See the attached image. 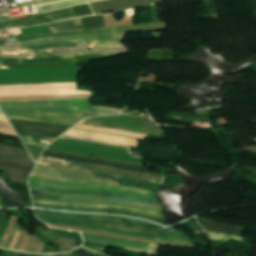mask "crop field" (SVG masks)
Listing matches in <instances>:
<instances>
[{
  "label": "crop field",
  "instance_id": "10",
  "mask_svg": "<svg viewBox=\"0 0 256 256\" xmlns=\"http://www.w3.org/2000/svg\"><path fill=\"white\" fill-rule=\"evenodd\" d=\"M34 204L35 206H39V207L57 208V209L74 210V211L114 212V213H119L124 215L148 218V219H152L160 222L163 218L162 213H158V212H148V211L120 209V208H111V207H97V206H87L86 208H81L79 205H61V204H43V203H34Z\"/></svg>",
  "mask_w": 256,
  "mask_h": 256
},
{
  "label": "crop field",
  "instance_id": "1",
  "mask_svg": "<svg viewBox=\"0 0 256 256\" xmlns=\"http://www.w3.org/2000/svg\"><path fill=\"white\" fill-rule=\"evenodd\" d=\"M35 215L45 222L151 239L193 245L180 231L164 230L162 226L144 221L102 215L46 212L34 210Z\"/></svg>",
  "mask_w": 256,
  "mask_h": 256
},
{
  "label": "crop field",
  "instance_id": "20",
  "mask_svg": "<svg viewBox=\"0 0 256 256\" xmlns=\"http://www.w3.org/2000/svg\"><path fill=\"white\" fill-rule=\"evenodd\" d=\"M0 123H8L4 115H0ZM0 134L17 136L10 124H0Z\"/></svg>",
  "mask_w": 256,
  "mask_h": 256
},
{
  "label": "crop field",
  "instance_id": "23",
  "mask_svg": "<svg viewBox=\"0 0 256 256\" xmlns=\"http://www.w3.org/2000/svg\"><path fill=\"white\" fill-rule=\"evenodd\" d=\"M208 234L210 235L211 239H215V240L226 241L228 237L236 238V239H240V240L243 239V238H240V237H236V236H232V235H228V234H223V233L208 232Z\"/></svg>",
  "mask_w": 256,
  "mask_h": 256
},
{
  "label": "crop field",
  "instance_id": "13",
  "mask_svg": "<svg viewBox=\"0 0 256 256\" xmlns=\"http://www.w3.org/2000/svg\"><path fill=\"white\" fill-rule=\"evenodd\" d=\"M115 30H116V27H111V28H101V29H91V30H81V31L35 35V36L16 37V39L18 41H26V40H32V39H38V38L59 37V36L79 35V34L115 33Z\"/></svg>",
  "mask_w": 256,
  "mask_h": 256
},
{
  "label": "crop field",
  "instance_id": "30",
  "mask_svg": "<svg viewBox=\"0 0 256 256\" xmlns=\"http://www.w3.org/2000/svg\"><path fill=\"white\" fill-rule=\"evenodd\" d=\"M7 212H5V211H0V223H1V221H2V219H3V217H5V216H7Z\"/></svg>",
  "mask_w": 256,
  "mask_h": 256
},
{
  "label": "crop field",
  "instance_id": "24",
  "mask_svg": "<svg viewBox=\"0 0 256 256\" xmlns=\"http://www.w3.org/2000/svg\"><path fill=\"white\" fill-rule=\"evenodd\" d=\"M85 42H94V45L123 46L121 40H117V41L85 40Z\"/></svg>",
  "mask_w": 256,
  "mask_h": 256
},
{
  "label": "crop field",
  "instance_id": "7",
  "mask_svg": "<svg viewBox=\"0 0 256 256\" xmlns=\"http://www.w3.org/2000/svg\"><path fill=\"white\" fill-rule=\"evenodd\" d=\"M39 163L46 166L61 168V169L94 170V171L113 173V174L123 175L127 177L137 178V179L151 181V182L160 183V184H162L163 178H164L161 176H155V175L125 171V170H118V169H112V168H106V167H100V166H94V165H88V164H81V163H75V162H69V161H63V160H57V159H51V158H45V157H42Z\"/></svg>",
  "mask_w": 256,
  "mask_h": 256
},
{
  "label": "crop field",
  "instance_id": "21",
  "mask_svg": "<svg viewBox=\"0 0 256 256\" xmlns=\"http://www.w3.org/2000/svg\"><path fill=\"white\" fill-rule=\"evenodd\" d=\"M43 23H45V21L29 19V20L19 21V22H15V23H10V24H13V27L16 28V27L29 26V25H35V24H43ZM10 24H5L3 26L10 25Z\"/></svg>",
  "mask_w": 256,
  "mask_h": 256
},
{
  "label": "crop field",
  "instance_id": "8",
  "mask_svg": "<svg viewBox=\"0 0 256 256\" xmlns=\"http://www.w3.org/2000/svg\"><path fill=\"white\" fill-rule=\"evenodd\" d=\"M19 135L56 138L72 125L11 120Z\"/></svg>",
  "mask_w": 256,
  "mask_h": 256
},
{
  "label": "crop field",
  "instance_id": "18",
  "mask_svg": "<svg viewBox=\"0 0 256 256\" xmlns=\"http://www.w3.org/2000/svg\"><path fill=\"white\" fill-rule=\"evenodd\" d=\"M80 45H82V40L55 42V43L31 46V47H27V48L43 50V49H49V48L74 47V46H80Z\"/></svg>",
  "mask_w": 256,
  "mask_h": 256
},
{
  "label": "crop field",
  "instance_id": "28",
  "mask_svg": "<svg viewBox=\"0 0 256 256\" xmlns=\"http://www.w3.org/2000/svg\"><path fill=\"white\" fill-rule=\"evenodd\" d=\"M52 56H55V55H52L48 52H44V53H37L34 58H39V57H52Z\"/></svg>",
  "mask_w": 256,
  "mask_h": 256
},
{
  "label": "crop field",
  "instance_id": "3",
  "mask_svg": "<svg viewBox=\"0 0 256 256\" xmlns=\"http://www.w3.org/2000/svg\"><path fill=\"white\" fill-rule=\"evenodd\" d=\"M65 136L77 137L86 140L114 143L137 148L138 140L144 137H157L145 134H138L126 131H119L101 127L77 124Z\"/></svg>",
  "mask_w": 256,
  "mask_h": 256
},
{
  "label": "crop field",
  "instance_id": "19",
  "mask_svg": "<svg viewBox=\"0 0 256 256\" xmlns=\"http://www.w3.org/2000/svg\"><path fill=\"white\" fill-rule=\"evenodd\" d=\"M46 15L48 17H50L51 19H53L54 21L75 17L72 7L54 11V12H50V13H46Z\"/></svg>",
  "mask_w": 256,
  "mask_h": 256
},
{
  "label": "crop field",
  "instance_id": "26",
  "mask_svg": "<svg viewBox=\"0 0 256 256\" xmlns=\"http://www.w3.org/2000/svg\"><path fill=\"white\" fill-rule=\"evenodd\" d=\"M20 137L23 139L24 142L32 144V145H38V146H42V147H46L47 146V145L33 143L31 137H25V136H20Z\"/></svg>",
  "mask_w": 256,
  "mask_h": 256
},
{
  "label": "crop field",
  "instance_id": "11",
  "mask_svg": "<svg viewBox=\"0 0 256 256\" xmlns=\"http://www.w3.org/2000/svg\"><path fill=\"white\" fill-rule=\"evenodd\" d=\"M34 202L43 203H61V204H79V205H97V206H111V207H121L139 210H149L162 212L161 207L112 202V201H96V200H72V199H59V200H45V199H33Z\"/></svg>",
  "mask_w": 256,
  "mask_h": 256
},
{
  "label": "crop field",
  "instance_id": "25",
  "mask_svg": "<svg viewBox=\"0 0 256 256\" xmlns=\"http://www.w3.org/2000/svg\"><path fill=\"white\" fill-rule=\"evenodd\" d=\"M17 229L22 230L23 228H21V227L17 224V226H16V228H15V230H14V232H13V234H12V236H11V238H10V240H9V243H8V245L6 246V248L9 247V245H10V243H11V241H12V239H13V237H14L16 231H17ZM23 230H24V229H23ZM19 233H20V231L18 230L17 233H16V235H15V237H14V239H13V241H12V244H11V246H10V249H12V247H13V245H14V243H15V241H16L18 235H19ZM13 248H14V247H13Z\"/></svg>",
  "mask_w": 256,
  "mask_h": 256
},
{
  "label": "crop field",
  "instance_id": "12",
  "mask_svg": "<svg viewBox=\"0 0 256 256\" xmlns=\"http://www.w3.org/2000/svg\"><path fill=\"white\" fill-rule=\"evenodd\" d=\"M82 234L84 236L85 241L88 243H94V244H99V245L111 244L114 247L128 249V250L137 251V252H142V253H146V254H149L153 247V245H151V244L125 241V240L101 237V236L84 234V233H82Z\"/></svg>",
  "mask_w": 256,
  "mask_h": 256
},
{
  "label": "crop field",
  "instance_id": "2",
  "mask_svg": "<svg viewBox=\"0 0 256 256\" xmlns=\"http://www.w3.org/2000/svg\"><path fill=\"white\" fill-rule=\"evenodd\" d=\"M8 118L75 124L84 114L119 110L90 107V99L0 103Z\"/></svg>",
  "mask_w": 256,
  "mask_h": 256
},
{
  "label": "crop field",
  "instance_id": "9",
  "mask_svg": "<svg viewBox=\"0 0 256 256\" xmlns=\"http://www.w3.org/2000/svg\"><path fill=\"white\" fill-rule=\"evenodd\" d=\"M43 156L164 176L163 174H160V173L148 172L149 169L144 166L98 159V158H91V157H85V156H79V155H73V154H67V153H61V152H55V151H49V150H46Z\"/></svg>",
  "mask_w": 256,
  "mask_h": 256
},
{
  "label": "crop field",
  "instance_id": "4",
  "mask_svg": "<svg viewBox=\"0 0 256 256\" xmlns=\"http://www.w3.org/2000/svg\"><path fill=\"white\" fill-rule=\"evenodd\" d=\"M0 165L11 182L21 184H26L34 166L24 148L7 144H0Z\"/></svg>",
  "mask_w": 256,
  "mask_h": 256
},
{
  "label": "crop field",
  "instance_id": "15",
  "mask_svg": "<svg viewBox=\"0 0 256 256\" xmlns=\"http://www.w3.org/2000/svg\"><path fill=\"white\" fill-rule=\"evenodd\" d=\"M199 223L204 226L208 231L213 232H223L228 233L236 236L242 237L245 229L244 228H238V227H232V226H226V225H220L208 221L201 220L197 218Z\"/></svg>",
  "mask_w": 256,
  "mask_h": 256
},
{
  "label": "crop field",
  "instance_id": "14",
  "mask_svg": "<svg viewBox=\"0 0 256 256\" xmlns=\"http://www.w3.org/2000/svg\"><path fill=\"white\" fill-rule=\"evenodd\" d=\"M126 33H116V34H100V35H79V36H69V37H59V38H48L39 39L33 41L22 42L23 45L41 43L53 40H63V39H123Z\"/></svg>",
  "mask_w": 256,
  "mask_h": 256
},
{
  "label": "crop field",
  "instance_id": "16",
  "mask_svg": "<svg viewBox=\"0 0 256 256\" xmlns=\"http://www.w3.org/2000/svg\"><path fill=\"white\" fill-rule=\"evenodd\" d=\"M49 26L55 32L83 29L81 18L57 22V23L49 24Z\"/></svg>",
  "mask_w": 256,
  "mask_h": 256
},
{
  "label": "crop field",
  "instance_id": "29",
  "mask_svg": "<svg viewBox=\"0 0 256 256\" xmlns=\"http://www.w3.org/2000/svg\"><path fill=\"white\" fill-rule=\"evenodd\" d=\"M61 254H57V255H31V254H25L22 253L21 256H60Z\"/></svg>",
  "mask_w": 256,
  "mask_h": 256
},
{
  "label": "crop field",
  "instance_id": "22",
  "mask_svg": "<svg viewBox=\"0 0 256 256\" xmlns=\"http://www.w3.org/2000/svg\"><path fill=\"white\" fill-rule=\"evenodd\" d=\"M21 30H22L24 35L49 32L46 25L33 27V28H27V29H21Z\"/></svg>",
  "mask_w": 256,
  "mask_h": 256
},
{
  "label": "crop field",
  "instance_id": "6",
  "mask_svg": "<svg viewBox=\"0 0 256 256\" xmlns=\"http://www.w3.org/2000/svg\"><path fill=\"white\" fill-rule=\"evenodd\" d=\"M76 84L0 86V97L90 93L75 91Z\"/></svg>",
  "mask_w": 256,
  "mask_h": 256
},
{
  "label": "crop field",
  "instance_id": "17",
  "mask_svg": "<svg viewBox=\"0 0 256 256\" xmlns=\"http://www.w3.org/2000/svg\"><path fill=\"white\" fill-rule=\"evenodd\" d=\"M88 1H94V0H59L55 2L45 3L42 5H36L35 9H36V12H43L47 10H53V9H57V8H61V7H65L73 4L88 2Z\"/></svg>",
  "mask_w": 256,
  "mask_h": 256
},
{
  "label": "crop field",
  "instance_id": "5",
  "mask_svg": "<svg viewBox=\"0 0 256 256\" xmlns=\"http://www.w3.org/2000/svg\"><path fill=\"white\" fill-rule=\"evenodd\" d=\"M30 185H31L32 191L34 192H39V193H44V194H49V195H54L59 197L112 199V200H121V201H130V202L159 205L156 202L155 198H151V197H141V196L101 193V192L71 191V190H61V189L49 188L44 186L32 185V184Z\"/></svg>",
  "mask_w": 256,
  "mask_h": 256
},
{
  "label": "crop field",
  "instance_id": "27",
  "mask_svg": "<svg viewBox=\"0 0 256 256\" xmlns=\"http://www.w3.org/2000/svg\"><path fill=\"white\" fill-rule=\"evenodd\" d=\"M85 55H113L112 53H101V52H81Z\"/></svg>",
  "mask_w": 256,
  "mask_h": 256
},
{
  "label": "crop field",
  "instance_id": "31",
  "mask_svg": "<svg viewBox=\"0 0 256 256\" xmlns=\"http://www.w3.org/2000/svg\"><path fill=\"white\" fill-rule=\"evenodd\" d=\"M0 114H2L1 110H0Z\"/></svg>",
  "mask_w": 256,
  "mask_h": 256
}]
</instances>
